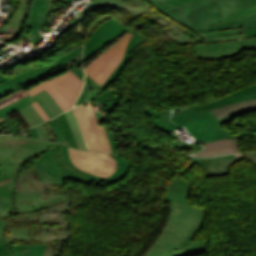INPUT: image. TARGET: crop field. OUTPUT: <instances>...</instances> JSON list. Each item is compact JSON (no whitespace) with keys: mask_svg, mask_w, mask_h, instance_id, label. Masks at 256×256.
Listing matches in <instances>:
<instances>
[{"mask_svg":"<svg viewBox=\"0 0 256 256\" xmlns=\"http://www.w3.org/2000/svg\"><path fill=\"white\" fill-rule=\"evenodd\" d=\"M243 155L256 165V153H245Z\"/></svg>","mask_w":256,"mask_h":256,"instance_id":"obj_36","label":"crop field"},{"mask_svg":"<svg viewBox=\"0 0 256 256\" xmlns=\"http://www.w3.org/2000/svg\"><path fill=\"white\" fill-rule=\"evenodd\" d=\"M30 130H31V133H32V137H33V138H39L38 135H37V132H36V130H35V127L31 128Z\"/></svg>","mask_w":256,"mask_h":256,"instance_id":"obj_37","label":"crop field"},{"mask_svg":"<svg viewBox=\"0 0 256 256\" xmlns=\"http://www.w3.org/2000/svg\"><path fill=\"white\" fill-rule=\"evenodd\" d=\"M0 120H2V118Z\"/></svg>","mask_w":256,"mask_h":256,"instance_id":"obj_41","label":"crop field"},{"mask_svg":"<svg viewBox=\"0 0 256 256\" xmlns=\"http://www.w3.org/2000/svg\"><path fill=\"white\" fill-rule=\"evenodd\" d=\"M72 73L68 70L51 80L31 88L27 92L32 96L46 89L65 111L73 106L83 85V82Z\"/></svg>","mask_w":256,"mask_h":256,"instance_id":"obj_7","label":"crop field"},{"mask_svg":"<svg viewBox=\"0 0 256 256\" xmlns=\"http://www.w3.org/2000/svg\"><path fill=\"white\" fill-rule=\"evenodd\" d=\"M255 107H256V99L220 107L212 110V112L217 117V119H219L221 117L234 114L240 111L248 110L251 108H255Z\"/></svg>","mask_w":256,"mask_h":256,"instance_id":"obj_23","label":"crop field"},{"mask_svg":"<svg viewBox=\"0 0 256 256\" xmlns=\"http://www.w3.org/2000/svg\"><path fill=\"white\" fill-rule=\"evenodd\" d=\"M51 142L15 136H0V218L3 224L0 242L22 240L52 241L54 229L53 213L67 214L71 199L67 194L59 195L51 184L40 181L31 170L22 166L31 158L45 152ZM40 223L49 222L50 226H38L36 231L29 227L9 228V221Z\"/></svg>","mask_w":256,"mask_h":256,"instance_id":"obj_1","label":"crop field"},{"mask_svg":"<svg viewBox=\"0 0 256 256\" xmlns=\"http://www.w3.org/2000/svg\"><path fill=\"white\" fill-rule=\"evenodd\" d=\"M47 14V0H31V6L25 27L32 28L30 34L33 36L42 24Z\"/></svg>","mask_w":256,"mask_h":256,"instance_id":"obj_18","label":"crop field"},{"mask_svg":"<svg viewBox=\"0 0 256 256\" xmlns=\"http://www.w3.org/2000/svg\"><path fill=\"white\" fill-rule=\"evenodd\" d=\"M58 118H59L60 122L62 123V125L64 127V130H65V133H66L69 145L71 147L78 148L77 143H76V141L74 139L73 133H72V131L70 129V126H69V124L67 122V119H66L64 113L62 115L58 116Z\"/></svg>","mask_w":256,"mask_h":256,"instance_id":"obj_30","label":"crop field"},{"mask_svg":"<svg viewBox=\"0 0 256 256\" xmlns=\"http://www.w3.org/2000/svg\"><path fill=\"white\" fill-rule=\"evenodd\" d=\"M59 144L51 143L47 153L37 160H34L35 172L37 177L46 182L57 185H65L68 177L81 181L86 184H101L96 180L79 175L69 170L60 160L58 156Z\"/></svg>","mask_w":256,"mask_h":256,"instance_id":"obj_6","label":"crop field"},{"mask_svg":"<svg viewBox=\"0 0 256 256\" xmlns=\"http://www.w3.org/2000/svg\"><path fill=\"white\" fill-rule=\"evenodd\" d=\"M166 1L169 3L170 7H173V6L183 5L195 0H166Z\"/></svg>","mask_w":256,"mask_h":256,"instance_id":"obj_31","label":"crop field"},{"mask_svg":"<svg viewBox=\"0 0 256 256\" xmlns=\"http://www.w3.org/2000/svg\"><path fill=\"white\" fill-rule=\"evenodd\" d=\"M59 155H60V157H61L63 163H64L68 168H70L72 171L77 172V173H80V174L85 175V176H88V177H90V178L96 179V180H98V181H102V182L105 181V178H103V177L95 176V175H92V174H90V173L83 172V171H81L80 169L76 168V167L74 166V164L72 163V161L70 160V158H69L68 151H67V146L60 144V147H59Z\"/></svg>","mask_w":256,"mask_h":256,"instance_id":"obj_25","label":"crop field"},{"mask_svg":"<svg viewBox=\"0 0 256 256\" xmlns=\"http://www.w3.org/2000/svg\"><path fill=\"white\" fill-rule=\"evenodd\" d=\"M131 36L129 33L126 34L121 40L85 67L86 74L99 85H102L123 59Z\"/></svg>","mask_w":256,"mask_h":256,"instance_id":"obj_10","label":"crop field"},{"mask_svg":"<svg viewBox=\"0 0 256 256\" xmlns=\"http://www.w3.org/2000/svg\"><path fill=\"white\" fill-rule=\"evenodd\" d=\"M105 128H106V131H107V134H108V137H109L110 144H111V146H112L113 153H117V152H116V148H115V144H114V140H113L112 133L110 132V130H109V128H108L107 125H105Z\"/></svg>","mask_w":256,"mask_h":256,"instance_id":"obj_33","label":"crop field"},{"mask_svg":"<svg viewBox=\"0 0 256 256\" xmlns=\"http://www.w3.org/2000/svg\"><path fill=\"white\" fill-rule=\"evenodd\" d=\"M254 98H256V85L240 89L225 97H222L218 100H215L206 104L189 106V107L193 109L195 112H198V111L211 110L220 106L232 104L242 100L254 99Z\"/></svg>","mask_w":256,"mask_h":256,"instance_id":"obj_16","label":"crop field"},{"mask_svg":"<svg viewBox=\"0 0 256 256\" xmlns=\"http://www.w3.org/2000/svg\"><path fill=\"white\" fill-rule=\"evenodd\" d=\"M0 224H1V220H0Z\"/></svg>","mask_w":256,"mask_h":256,"instance_id":"obj_40","label":"crop field"},{"mask_svg":"<svg viewBox=\"0 0 256 256\" xmlns=\"http://www.w3.org/2000/svg\"><path fill=\"white\" fill-rule=\"evenodd\" d=\"M184 108L185 111L179 112V116L171 117V119L174 123L185 126L199 142L206 143L223 138L236 139L228 129L219 123L211 111L194 113L190 108Z\"/></svg>","mask_w":256,"mask_h":256,"instance_id":"obj_5","label":"crop field"},{"mask_svg":"<svg viewBox=\"0 0 256 256\" xmlns=\"http://www.w3.org/2000/svg\"><path fill=\"white\" fill-rule=\"evenodd\" d=\"M204 152L196 154L197 156H217L222 154L240 152L236 140L224 139L206 143Z\"/></svg>","mask_w":256,"mask_h":256,"instance_id":"obj_20","label":"crop field"},{"mask_svg":"<svg viewBox=\"0 0 256 256\" xmlns=\"http://www.w3.org/2000/svg\"><path fill=\"white\" fill-rule=\"evenodd\" d=\"M196 214L194 206L171 203L170 219L145 256H182L206 250L204 241L192 242L187 249L176 250L192 227Z\"/></svg>","mask_w":256,"mask_h":256,"instance_id":"obj_3","label":"crop field"},{"mask_svg":"<svg viewBox=\"0 0 256 256\" xmlns=\"http://www.w3.org/2000/svg\"><path fill=\"white\" fill-rule=\"evenodd\" d=\"M19 113L27 123L28 127L37 125L44 121L42 117L37 113V111L33 108L32 104L19 110Z\"/></svg>","mask_w":256,"mask_h":256,"instance_id":"obj_28","label":"crop field"},{"mask_svg":"<svg viewBox=\"0 0 256 256\" xmlns=\"http://www.w3.org/2000/svg\"><path fill=\"white\" fill-rule=\"evenodd\" d=\"M144 112H146L148 114H154L152 116V121L155 124V126H157L158 128H160L168 133H170L174 129L176 130V129L180 128V126H177L170 121V115L167 110H163V111H159V112L155 113L154 111H152L150 109H145Z\"/></svg>","mask_w":256,"mask_h":256,"instance_id":"obj_24","label":"crop field"},{"mask_svg":"<svg viewBox=\"0 0 256 256\" xmlns=\"http://www.w3.org/2000/svg\"><path fill=\"white\" fill-rule=\"evenodd\" d=\"M111 155L115 158V160L118 161V167L116 172L104 182V185L111 184L120 180L127 174L129 169V164L126 160H124L123 158L117 155H114V154H111Z\"/></svg>","mask_w":256,"mask_h":256,"instance_id":"obj_27","label":"crop field"},{"mask_svg":"<svg viewBox=\"0 0 256 256\" xmlns=\"http://www.w3.org/2000/svg\"><path fill=\"white\" fill-rule=\"evenodd\" d=\"M7 80V77L0 74V83Z\"/></svg>","mask_w":256,"mask_h":256,"instance_id":"obj_38","label":"crop field"},{"mask_svg":"<svg viewBox=\"0 0 256 256\" xmlns=\"http://www.w3.org/2000/svg\"><path fill=\"white\" fill-rule=\"evenodd\" d=\"M245 158L241 154L203 158L196 164L200 165L206 176L227 175L230 166L236 161Z\"/></svg>","mask_w":256,"mask_h":256,"instance_id":"obj_14","label":"crop field"},{"mask_svg":"<svg viewBox=\"0 0 256 256\" xmlns=\"http://www.w3.org/2000/svg\"><path fill=\"white\" fill-rule=\"evenodd\" d=\"M5 121L4 120H2V121H0V124H2V123H4Z\"/></svg>","mask_w":256,"mask_h":256,"instance_id":"obj_39","label":"crop field"},{"mask_svg":"<svg viewBox=\"0 0 256 256\" xmlns=\"http://www.w3.org/2000/svg\"><path fill=\"white\" fill-rule=\"evenodd\" d=\"M32 97L42 106L50 119L64 112L53 97L45 90Z\"/></svg>","mask_w":256,"mask_h":256,"instance_id":"obj_22","label":"crop field"},{"mask_svg":"<svg viewBox=\"0 0 256 256\" xmlns=\"http://www.w3.org/2000/svg\"><path fill=\"white\" fill-rule=\"evenodd\" d=\"M222 12V22L256 13V0H213Z\"/></svg>","mask_w":256,"mask_h":256,"instance_id":"obj_13","label":"crop field"},{"mask_svg":"<svg viewBox=\"0 0 256 256\" xmlns=\"http://www.w3.org/2000/svg\"><path fill=\"white\" fill-rule=\"evenodd\" d=\"M47 246L0 244V256H42Z\"/></svg>","mask_w":256,"mask_h":256,"instance_id":"obj_19","label":"crop field"},{"mask_svg":"<svg viewBox=\"0 0 256 256\" xmlns=\"http://www.w3.org/2000/svg\"><path fill=\"white\" fill-rule=\"evenodd\" d=\"M34 108L38 111V113L43 117L45 121L49 120V117L46 115L44 110L41 108V106L36 102L33 103Z\"/></svg>","mask_w":256,"mask_h":256,"instance_id":"obj_32","label":"crop field"},{"mask_svg":"<svg viewBox=\"0 0 256 256\" xmlns=\"http://www.w3.org/2000/svg\"><path fill=\"white\" fill-rule=\"evenodd\" d=\"M205 212H206V209L198 208V214H197L196 221H195L193 227L191 228V230L189 231V233L186 235V237L184 238V240L178 247V249L187 248V246L192 242V239H193L195 233L200 229V226L204 220Z\"/></svg>","mask_w":256,"mask_h":256,"instance_id":"obj_26","label":"crop field"},{"mask_svg":"<svg viewBox=\"0 0 256 256\" xmlns=\"http://www.w3.org/2000/svg\"><path fill=\"white\" fill-rule=\"evenodd\" d=\"M126 31L133 34V36L130 40L126 55L120 65L102 86H99L95 81L86 75L84 91L76 101L75 106H78L86 101L93 100L102 90H104L111 82H113L125 64L129 61L131 57L129 54L138 45L143 43L145 38L139 33L121 25L117 20L109 19L100 23L90 38L86 41L84 44L83 61L87 60L88 57H90L100 48L112 42Z\"/></svg>","mask_w":256,"mask_h":256,"instance_id":"obj_2","label":"crop field"},{"mask_svg":"<svg viewBox=\"0 0 256 256\" xmlns=\"http://www.w3.org/2000/svg\"><path fill=\"white\" fill-rule=\"evenodd\" d=\"M190 157L192 158V161L185 167V172L183 174H185L197 161L201 159L192 156ZM183 174H181V176ZM179 177L170 182L168 189L164 194L163 200L168 202L190 204L187 201L190 184Z\"/></svg>","mask_w":256,"mask_h":256,"instance_id":"obj_15","label":"crop field"},{"mask_svg":"<svg viewBox=\"0 0 256 256\" xmlns=\"http://www.w3.org/2000/svg\"><path fill=\"white\" fill-rule=\"evenodd\" d=\"M251 110H256V108L255 109H251ZM248 111H250V110H248ZM244 112H247V111H244ZM240 113H243V112H240ZM240 113H237V114H234V115H230V116H227V117H224V118H222V119H219V121L221 122V124H225L226 122H228L232 117H234V116H236V115H238V114H240Z\"/></svg>","mask_w":256,"mask_h":256,"instance_id":"obj_35","label":"crop field"},{"mask_svg":"<svg viewBox=\"0 0 256 256\" xmlns=\"http://www.w3.org/2000/svg\"><path fill=\"white\" fill-rule=\"evenodd\" d=\"M197 58L217 59L231 57L245 48L256 49V37L225 42L193 46Z\"/></svg>","mask_w":256,"mask_h":256,"instance_id":"obj_12","label":"crop field"},{"mask_svg":"<svg viewBox=\"0 0 256 256\" xmlns=\"http://www.w3.org/2000/svg\"><path fill=\"white\" fill-rule=\"evenodd\" d=\"M54 215L58 218L57 223L61 225V229L57 227L54 229V238H60L61 240L59 242L55 241V245H49L43 256H57V253H60L58 250L62 249L60 245H63V242L67 239L66 237H70V231L65 229L67 222L64 220V215Z\"/></svg>","mask_w":256,"mask_h":256,"instance_id":"obj_21","label":"crop field"},{"mask_svg":"<svg viewBox=\"0 0 256 256\" xmlns=\"http://www.w3.org/2000/svg\"><path fill=\"white\" fill-rule=\"evenodd\" d=\"M35 102V100L30 97L29 95L3 107L0 109V118L4 115H7L9 113H13V112H16L18 109L30 104V103H33Z\"/></svg>","mask_w":256,"mask_h":256,"instance_id":"obj_29","label":"crop field"},{"mask_svg":"<svg viewBox=\"0 0 256 256\" xmlns=\"http://www.w3.org/2000/svg\"><path fill=\"white\" fill-rule=\"evenodd\" d=\"M3 118L5 119V121H6V123H7L8 125L3 126V127H0V129H2V128L8 126V127L11 129L12 133L17 132V129H16V128L14 127V125L12 124V122H11V120L9 119L8 115L5 116V117H3Z\"/></svg>","mask_w":256,"mask_h":256,"instance_id":"obj_34","label":"crop field"},{"mask_svg":"<svg viewBox=\"0 0 256 256\" xmlns=\"http://www.w3.org/2000/svg\"><path fill=\"white\" fill-rule=\"evenodd\" d=\"M160 13L195 32L221 22V12L212 0H198L183 6L170 8L165 0H148ZM175 21V20H174Z\"/></svg>","mask_w":256,"mask_h":256,"instance_id":"obj_4","label":"crop field"},{"mask_svg":"<svg viewBox=\"0 0 256 256\" xmlns=\"http://www.w3.org/2000/svg\"><path fill=\"white\" fill-rule=\"evenodd\" d=\"M75 119L82 131L88 150L111 152L107 134L98 120L90 103L72 109Z\"/></svg>","mask_w":256,"mask_h":256,"instance_id":"obj_8","label":"crop field"},{"mask_svg":"<svg viewBox=\"0 0 256 256\" xmlns=\"http://www.w3.org/2000/svg\"><path fill=\"white\" fill-rule=\"evenodd\" d=\"M242 27L244 29L246 37L256 36V14L243 17L234 21L221 23L212 27H208V28L199 30L195 33L233 29V28H242Z\"/></svg>","mask_w":256,"mask_h":256,"instance_id":"obj_17","label":"crop field"},{"mask_svg":"<svg viewBox=\"0 0 256 256\" xmlns=\"http://www.w3.org/2000/svg\"><path fill=\"white\" fill-rule=\"evenodd\" d=\"M82 52V46L72 50L63 57L59 58L54 64L46 69H32L24 74L17 73L10 80L0 84V98L12 93L23 90L33 83L50 78L66 68L61 65L68 62L69 59ZM70 61V60H69Z\"/></svg>","mask_w":256,"mask_h":256,"instance_id":"obj_9","label":"crop field"},{"mask_svg":"<svg viewBox=\"0 0 256 256\" xmlns=\"http://www.w3.org/2000/svg\"><path fill=\"white\" fill-rule=\"evenodd\" d=\"M69 155L75 166L83 171L108 178L117 167V162L110 154L80 151L68 148Z\"/></svg>","mask_w":256,"mask_h":256,"instance_id":"obj_11","label":"crop field"}]
</instances>
